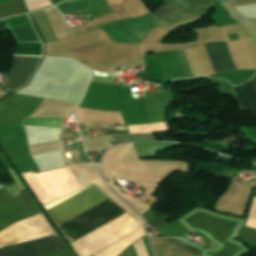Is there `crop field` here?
I'll return each instance as SVG.
<instances>
[{
	"label": "crop field",
	"instance_id": "crop-field-1",
	"mask_svg": "<svg viewBox=\"0 0 256 256\" xmlns=\"http://www.w3.org/2000/svg\"><path fill=\"white\" fill-rule=\"evenodd\" d=\"M109 199L95 184L47 210L59 226ZM124 213L111 199L59 227L72 243Z\"/></svg>",
	"mask_w": 256,
	"mask_h": 256
},
{
	"label": "crop field",
	"instance_id": "crop-field-2",
	"mask_svg": "<svg viewBox=\"0 0 256 256\" xmlns=\"http://www.w3.org/2000/svg\"><path fill=\"white\" fill-rule=\"evenodd\" d=\"M215 2L212 0H173L156 10L171 20L178 22L203 15ZM140 18L121 20L118 23L138 43L156 26L173 23L158 12ZM117 22L101 25L111 38L121 43H136Z\"/></svg>",
	"mask_w": 256,
	"mask_h": 256
},
{
	"label": "crop field",
	"instance_id": "crop-field-3",
	"mask_svg": "<svg viewBox=\"0 0 256 256\" xmlns=\"http://www.w3.org/2000/svg\"><path fill=\"white\" fill-rule=\"evenodd\" d=\"M65 248L57 235L0 248V256H43Z\"/></svg>",
	"mask_w": 256,
	"mask_h": 256
},
{
	"label": "crop field",
	"instance_id": "crop-field-4",
	"mask_svg": "<svg viewBox=\"0 0 256 256\" xmlns=\"http://www.w3.org/2000/svg\"><path fill=\"white\" fill-rule=\"evenodd\" d=\"M40 58L13 56V67L5 75L13 91L27 83Z\"/></svg>",
	"mask_w": 256,
	"mask_h": 256
},
{
	"label": "crop field",
	"instance_id": "crop-field-5",
	"mask_svg": "<svg viewBox=\"0 0 256 256\" xmlns=\"http://www.w3.org/2000/svg\"><path fill=\"white\" fill-rule=\"evenodd\" d=\"M216 73L236 70V66L225 42L205 44Z\"/></svg>",
	"mask_w": 256,
	"mask_h": 256
},
{
	"label": "crop field",
	"instance_id": "crop-field-6",
	"mask_svg": "<svg viewBox=\"0 0 256 256\" xmlns=\"http://www.w3.org/2000/svg\"><path fill=\"white\" fill-rule=\"evenodd\" d=\"M256 88V75L252 79ZM252 81H248L237 88H235L240 101L245 110H250L256 113V90Z\"/></svg>",
	"mask_w": 256,
	"mask_h": 256
},
{
	"label": "crop field",
	"instance_id": "crop-field-7",
	"mask_svg": "<svg viewBox=\"0 0 256 256\" xmlns=\"http://www.w3.org/2000/svg\"><path fill=\"white\" fill-rule=\"evenodd\" d=\"M25 12L20 0L0 4V18Z\"/></svg>",
	"mask_w": 256,
	"mask_h": 256
},
{
	"label": "crop field",
	"instance_id": "crop-field-8",
	"mask_svg": "<svg viewBox=\"0 0 256 256\" xmlns=\"http://www.w3.org/2000/svg\"><path fill=\"white\" fill-rule=\"evenodd\" d=\"M162 240H164V241H166V242H168V243H170V244H172L174 246H177V247H179V248H181V249H183L185 251H188V252H190V253H192V254H194L196 256H200L201 253H202V251H200V250H198L196 248H193V247H191V246H189V245H187L185 243H182V242H180V241H178V240H176L174 238H168V239H162Z\"/></svg>",
	"mask_w": 256,
	"mask_h": 256
},
{
	"label": "crop field",
	"instance_id": "crop-field-9",
	"mask_svg": "<svg viewBox=\"0 0 256 256\" xmlns=\"http://www.w3.org/2000/svg\"><path fill=\"white\" fill-rule=\"evenodd\" d=\"M110 141L119 140H135V139H155L153 134H135V135H119V136H108Z\"/></svg>",
	"mask_w": 256,
	"mask_h": 256
},
{
	"label": "crop field",
	"instance_id": "crop-field-10",
	"mask_svg": "<svg viewBox=\"0 0 256 256\" xmlns=\"http://www.w3.org/2000/svg\"><path fill=\"white\" fill-rule=\"evenodd\" d=\"M134 245L137 250L138 256H148L143 239H140Z\"/></svg>",
	"mask_w": 256,
	"mask_h": 256
},
{
	"label": "crop field",
	"instance_id": "crop-field-11",
	"mask_svg": "<svg viewBox=\"0 0 256 256\" xmlns=\"http://www.w3.org/2000/svg\"><path fill=\"white\" fill-rule=\"evenodd\" d=\"M89 127H97V128H111V129H123L127 130L126 126H118V125H103V124H90V123H85Z\"/></svg>",
	"mask_w": 256,
	"mask_h": 256
},
{
	"label": "crop field",
	"instance_id": "crop-field-12",
	"mask_svg": "<svg viewBox=\"0 0 256 256\" xmlns=\"http://www.w3.org/2000/svg\"><path fill=\"white\" fill-rule=\"evenodd\" d=\"M256 189V188H255Z\"/></svg>",
	"mask_w": 256,
	"mask_h": 256
}]
</instances>
